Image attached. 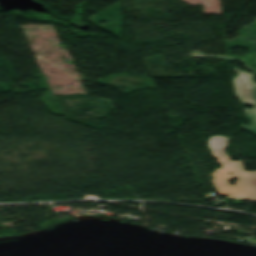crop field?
Wrapping results in <instances>:
<instances>
[{
	"label": "crop field",
	"instance_id": "crop-field-1",
	"mask_svg": "<svg viewBox=\"0 0 256 256\" xmlns=\"http://www.w3.org/2000/svg\"><path fill=\"white\" fill-rule=\"evenodd\" d=\"M227 142L228 138L222 136H212L208 142L213 155L218 157V163L222 165V169H215L213 182L219 195L245 200L247 195L243 162L233 161L229 156L224 155ZM233 179H238V182H235L236 186L227 184Z\"/></svg>",
	"mask_w": 256,
	"mask_h": 256
},
{
	"label": "crop field",
	"instance_id": "crop-field-2",
	"mask_svg": "<svg viewBox=\"0 0 256 256\" xmlns=\"http://www.w3.org/2000/svg\"><path fill=\"white\" fill-rule=\"evenodd\" d=\"M237 73L233 77L235 96L243 103L244 108L253 104L254 108L246 109L245 116L250 126L241 125L242 129L256 135V83L252 81V74L233 68Z\"/></svg>",
	"mask_w": 256,
	"mask_h": 256
},
{
	"label": "crop field",
	"instance_id": "crop-field-3",
	"mask_svg": "<svg viewBox=\"0 0 256 256\" xmlns=\"http://www.w3.org/2000/svg\"><path fill=\"white\" fill-rule=\"evenodd\" d=\"M248 200H256V171H245Z\"/></svg>",
	"mask_w": 256,
	"mask_h": 256
}]
</instances>
